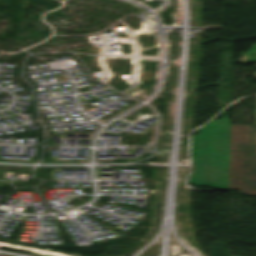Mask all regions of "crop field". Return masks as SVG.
Instances as JSON below:
<instances>
[{
	"label": "crop field",
	"mask_w": 256,
	"mask_h": 256,
	"mask_svg": "<svg viewBox=\"0 0 256 256\" xmlns=\"http://www.w3.org/2000/svg\"><path fill=\"white\" fill-rule=\"evenodd\" d=\"M230 120H213L192 136L195 171L190 184L228 188Z\"/></svg>",
	"instance_id": "obj_1"
},
{
	"label": "crop field",
	"mask_w": 256,
	"mask_h": 256,
	"mask_svg": "<svg viewBox=\"0 0 256 256\" xmlns=\"http://www.w3.org/2000/svg\"><path fill=\"white\" fill-rule=\"evenodd\" d=\"M229 188L256 196V156L251 155V125H231Z\"/></svg>",
	"instance_id": "obj_2"
},
{
	"label": "crop field",
	"mask_w": 256,
	"mask_h": 256,
	"mask_svg": "<svg viewBox=\"0 0 256 256\" xmlns=\"http://www.w3.org/2000/svg\"><path fill=\"white\" fill-rule=\"evenodd\" d=\"M253 154H256V130H254Z\"/></svg>",
	"instance_id": "obj_3"
},
{
	"label": "crop field",
	"mask_w": 256,
	"mask_h": 256,
	"mask_svg": "<svg viewBox=\"0 0 256 256\" xmlns=\"http://www.w3.org/2000/svg\"><path fill=\"white\" fill-rule=\"evenodd\" d=\"M254 66H256V64H255ZM253 77H255V78H256V72H254V73H253Z\"/></svg>",
	"instance_id": "obj_4"
}]
</instances>
